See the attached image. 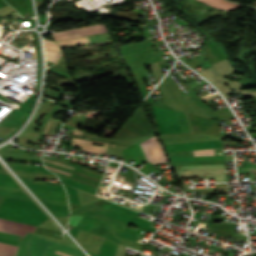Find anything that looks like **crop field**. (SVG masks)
<instances>
[{"label":"crop field","mask_w":256,"mask_h":256,"mask_svg":"<svg viewBox=\"0 0 256 256\" xmlns=\"http://www.w3.org/2000/svg\"><path fill=\"white\" fill-rule=\"evenodd\" d=\"M181 170L185 171H176L178 177L215 175L216 181H227L224 165L183 166Z\"/></svg>","instance_id":"crop-field-1"},{"label":"crop field","mask_w":256,"mask_h":256,"mask_svg":"<svg viewBox=\"0 0 256 256\" xmlns=\"http://www.w3.org/2000/svg\"><path fill=\"white\" fill-rule=\"evenodd\" d=\"M58 244L34 234L29 245L30 256H53Z\"/></svg>","instance_id":"crop-field-2"},{"label":"crop field","mask_w":256,"mask_h":256,"mask_svg":"<svg viewBox=\"0 0 256 256\" xmlns=\"http://www.w3.org/2000/svg\"><path fill=\"white\" fill-rule=\"evenodd\" d=\"M148 162L156 164L168 161L156 136L140 143Z\"/></svg>","instance_id":"crop-field-3"},{"label":"crop field","mask_w":256,"mask_h":256,"mask_svg":"<svg viewBox=\"0 0 256 256\" xmlns=\"http://www.w3.org/2000/svg\"><path fill=\"white\" fill-rule=\"evenodd\" d=\"M36 227L21 224L0 218V231L24 236L27 232L32 233Z\"/></svg>","instance_id":"crop-field-4"},{"label":"crop field","mask_w":256,"mask_h":256,"mask_svg":"<svg viewBox=\"0 0 256 256\" xmlns=\"http://www.w3.org/2000/svg\"><path fill=\"white\" fill-rule=\"evenodd\" d=\"M93 142L94 141H87V140L72 138V144L71 145L79 146V147H85V148L100 149V150H107L108 145H109V144H106V143H101V144H104V146L100 147V146L92 145ZM96 143H100V142H96ZM85 148H82L81 150L92 151V152H100V153H105L106 152V151L92 150V149H85Z\"/></svg>","instance_id":"crop-field-5"},{"label":"crop field","mask_w":256,"mask_h":256,"mask_svg":"<svg viewBox=\"0 0 256 256\" xmlns=\"http://www.w3.org/2000/svg\"><path fill=\"white\" fill-rule=\"evenodd\" d=\"M199 1H202L212 7H215L224 11H228L234 7L241 6L239 4H235L226 0H199Z\"/></svg>","instance_id":"crop-field-6"},{"label":"crop field","mask_w":256,"mask_h":256,"mask_svg":"<svg viewBox=\"0 0 256 256\" xmlns=\"http://www.w3.org/2000/svg\"><path fill=\"white\" fill-rule=\"evenodd\" d=\"M88 42H90L88 36L57 41L60 47L88 43Z\"/></svg>","instance_id":"crop-field-7"},{"label":"crop field","mask_w":256,"mask_h":256,"mask_svg":"<svg viewBox=\"0 0 256 256\" xmlns=\"http://www.w3.org/2000/svg\"><path fill=\"white\" fill-rule=\"evenodd\" d=\"M31 235L32 234L28 233L21 239L16 256H29L27 246L29 244Z\"/></svg>","instance_id":"crop-field-8"},{"label":"crop field","mask_w":256,"mask_h":256,"mask_svg":"<svg viewBox=\"0 0 256 256\" xmlns=\"http://www.w3.org/2000/svg\"><path fill=\"white\" fill-rule=\"evenodd\" d=\"M58 251L65 252V253L71 254L73 256H84V254L82 252L72 249L70 247L64 246L62 244H60Z\"/></svg>","instance_id":"crop-field-9"},{"label":"crop field","mask_w":256,"mask_h":256,"mask_svg":"<svg viewBox=\"0 0 256 256\" xmlns=\"http://www.w3.org/2000/svg\"><path fill=\"white\" fill-rule=\"evenodd\" d=\"M238 173L256 172V164H244V167L237 168Z\"/></svg>","instance_id":"crop-field-10"},{"label":"crop field","mask_w":256,"mask_h":256,"mask_svg":"<svg viewBox=\"0 0 256 256\" xmlns=\"http://www.w3.org/2000/svg\"><path fill=\"white\" fill-rule=\"evenodd\" d=\"M61 54L45 51V59L56 63ZM59 60V59H58Z\"/></svg>","instance_id":"crop-field-11"},{"label":"crop field","mask_w":256,"mask_h":256,"mask_svg":"<svg viewBox=\"0 0 256 256\" xmlns=\"http://www.w3.org/2000/svg\"><path fill=\"white\" fill-rule=\"evenodd\" d=\"M0 238L19 242L22 237L21 236H16V235H11V234H6V233H1L0 232Z\"/></svg>","instance_id":"crop-field-12"},{"label":"crop field","mask_w":256,"mask_h":256,"mask_svg":"<svg viewBox=\"0 0 256 256\" xmlns=\"http://www.w3.org/2000/svg\"><path fill=\"white\" fill-rule=\"evenodd\" d=\"M194 156L214 155L213 149L193 151Z\"/></svg>","instance_id":"crop-field-13"},{"label":"crop field","mask_w":256,"mask_h":256,"mask_svg":"<svg viewBox=\"0 0 256 256\" xmlns=\"http://www.w3.org/2000/svg\"><path fill=\"white\" fill-rule=\"evenodd\" d=\"M44 49L62 53L59 46L54 44H44Z\"/></svg>","instance_id":"crop-field-14"},{"label":"crop field","mask_w":256,"mask_h":256,"mask_svg":"<svg viewBox=\"0 0 256 256\" xmlns=\"http://www.w3.org/2000/svg\"><path fill=\"white\" fill-rule=\"evenodd\" d=\"M82 217H83V216H71V217H70V220H69V223H70L71 225L76 226L77 223L82 219Z\"/></svg>","instance_id":"crop-field-15"},{"label":"crop field","mask_w":256,"mask_h":256,"mask_svg":"<svg viewBox=\"0 0 256 256\" xmlns=\"http://www.w3.org/2000/svg\"><path fill=\"white\" fill-rule=\"evenodd\" d=\"M0 248L10 249V250H14V251L17 250L16 246L7 245V244H3V243H0Z\"/></svg>","instance_id":"crop-field-16"},{"label":"crop field","mask_w":256,"mask_h":256,"mask_svg":"<svg viewBox=\"0 0 256 256\" xmlns=\"http://www.w3.org/2000/svg\"><path fill=\"white\" fill-rule=\"evenodd\" d=\"M21 136H22V137L31 138V139H35L36 136H37V134H36V133H27V132H25V133H23Z\"/></svg>","instance_id":"crop-field-17"},{"label":"crop field","mask_w":256,"mask_h":256,"mask_svg":"<svg viewBox=\"0 0 256 256\" xmlns=\"http://www.w3.org/2000/svg\"><path fill=\"white\" fill-rule=\"evenodd\" d=\"M43 160H44V161H47V162H50V163H53V164H56V165H60V166L66 167V168H70V169H73V170L75 169L74 167H70V166H67V165H63V164L57 163V162L52 161V160H48V159H44V158H43Z\"/></svg>","instance_id":"crop-field-18"},{"label":"crop field","mask_w":256,"mask_h":256,"mask_svg":"<svg viewBox=\"0 0 256 256\" xmlns=\"http://www.w3.org/2000/svg\"><path fill=\"white\" fill-rule=\"evenodd\" d=\"M1 252L9 253L15 255L16 252L10 251V250H5V249H0Z\"/></svg>","instance_id":"crop-field-19"},{"label":"crop field","mask_w":256,"mask_h":256,"mask_svg":"<svg viewBox=\"0 0 256 256\" xmlns=\"http://www.w3.org/2000/svg\"><path fill=\"white\" fill-rule=\"evenodd\" d=\"M71 159H72V160H74V161H77V162L83 163V164H87V165H90V166H93V167L99 168L98 166H95V165H91V164H88V163H85V162H82V161H79V160H76V159H73V158H71Z\"/></svg>","instance_id":"crop-field-20"},{"label":"crop field","mask_w":256,"mask_h":256,"mask_svg":"<svg viewBox=\"0 0 256 256\" xmlns=\"http://www.w3.org/2000/svg\"><path fill=\"white\" fill-rule=\"evenodd\" d=\"M82 133H83L82 130H79V129L76 128L73 134L82 135Z\"/></svg>","instance_id":"crop-field-21"},{"label":"crop field","mask_w":256,"mask_h":256,"mask_svg":"<svg viewBox=\"0 0 256 256\" xmlns=\"http://www.w3.org/2000/svg\"><path fill=\"white\" fill-rule=\"evenodd\" d=\"M46 168H48V169H52V170H55V171H58V172H61V173H65V174H68V175H71V174H69V173H66V172H63V171L57 170V169H55V168H51V167H47V166H46Z\"/></svg>","instance_id":"crop-field-22"},{"label":"crop field","mask_w":256,"mask_h":256,"mask_svg":"<svg viewBox=\"0 0 256 256\" xmlns=\"http://www.w3.org/2000/svg\"><path fill=\"white\" fill-rule=\"evenodd\" d=\"M43 43H56V41L43 39Z\"/></svg>","instance_id":"crop-field-23"},{"label":"crop field","mask_w":256,"mask_h":256,"mask_svg":"<svg viewBox=\"0 0 256 256\" xmlns=\"http://www.w3.org/2000/svg\"><path fill=\"white\" fill-rule=\"evenodd\" d=\"M19 139H21V140H24V139H26V138H19ZM26 141H31V142H37V143H39L38 141H36V140H31V139H26Z\"/></svg>","instance_id":"crop-field-24"},{"label":"crop field","mask_w":256,"mask_h":256,"mask_svg":"<svg viewBox=\"0 0 256 256\" xmlns=\"http://www.w3.org/2000/svg\"><path fill=\"white\" fill-rule=\"evenodd\" d=\"M56 253L62 254V255H64V256H71V255L64 254V253H61V252H58V251H56Z\"/></svg>","instance_id":"crop-field-25"},{"label":"crop field","mask_w":256,"mask_h":256,"mask_svg":"<svg viewBox=\"0 0 256 256\" xmlns=\"http://www.w3.org/2000/svg\"><path fill=\"white\" fill-rule=\"evenodd\" d=\"M0 255H3V256H13V255L4 254V253H0Z\"/></svg>","instance_id":"crop-field-26"},{"label":"crop field","mask_w":256,"mask_h":256,"mask_svg":"<svg viewBox=\"0 0 256 256\" xmlns=\"http://www.w3.org/2000/svg\"><path fill=\"white\" fill-rule=\"evenodd\" d=\"M51 125H52V122H51V123H50V125H49L48 131H49V129H50V127H51ZM48 131H47V133H48ZM47 133H46V134H47Z\"/></svg>","instance_id":"crop-field-27"},{"label":"crop field","mask_w":256,"mask_h":256,"mask_svg":"<svg viewBox=\"0 0 256 256\" xmlns=\"http://www.w3.org/2000/svg\"><path fill=\"white\" fill-rule=\"evenodd\" d=\"M47 123H48V122H47ZM47 123H46V126H47ZM46 126H45V128H46ZM45 128H44V131H45ZM44 131H43V133H44ZM43 133H42V134H43Z\"/></svg>","instance_id":"crop-field-28"},{"label":"crop field","mask_w":256,"mask_h":256,"mask_svg":"<svg viewBox=\"0 0 256 256\" xmlns=\"http://www.w3.org/2000/svg\"><path fill=\"white\" fill-rule=\"evenodd\" d=\"M49 123H50V122H49ZM49 123H48V125H49ZM47 128H48V126H47ZM47 128H46V131H47ZM46 131H45V133H46ZM45 133H44V134H45Z\"/></svg>","instance_id":"crop-field-29"},{"label":"crop field","mask_w":256,"mask_h":256,"mask_svg":"<svg viewBox=\"0 0 256 256\" xmlns=\"http://www.w3.org/2000/svg\"><path fill=\"white\" fill-rule=\"evenodd\" d=\"M55 256H59V255L56 254Z\"/></svg>","instance_id":"crop-field-30"},{"label":"crop field","mask_w":256,"mask_h":256,"mask_svg":"<svg viewBox=\"0 0 256 256\" xmlns=\"http://www.w3.org/2000/svg\"><path fill=\"white\" fill-rule=\"evenodd\" d=\"M92 256V255H91Z\"/></svg>","instance_id":"crop-field-31"}]
</instances>
